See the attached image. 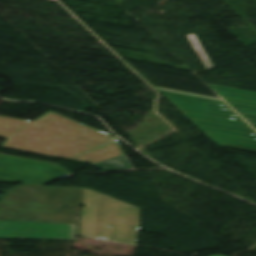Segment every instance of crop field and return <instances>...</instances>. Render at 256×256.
I'll use <instances>...</instances> for the list:
<instances>
[{"label":"crop field","instance_id":"8a807250","mask_svg":"<svg viewBox=\"0 0 256 256\" xmlns=\"http://www.w3.org/2000/svg\"><path fill=\"white\" fill-rule=\"evenodd\" d=\"M0 137V147L90 164L124 155L117 138L51 112L34 122L0 116Z\"/></svg>","mask_w":256,"mask_h":256},{"label":"crop field","instance_id":"ac0d7876","mask_svg":"<svg viewBox=\"0 0 256 256\" xmlns=\"http://www.w3.org/2000/svg\"><path fill=\"white\" fill-rule=\"evenodd\" d=\"M83 189L21 186L0 200V220L77 224Z\"/></svg>","mask_w":256,"mask_h":256},{"label":"crop field","instance_id":"34b2d1b8","mask_svg":"<svg viewBox=\"0 0 256 256\" xmlns=\"http://www.w3.org/2000/svg\"><path fill=\"white\" fill-rule=\"evenodd\" d=\"M158 91L210 140L256 148V133L223 101Z\"/></svg>","mask_w":256,"mask_h":256},{"label":"crop field","instance_id":"412701ff","mask_svg":"<svg viewBox=\"0 0 256 256\" xmlns=\"http://www.w3.org/2000/svg\"><path fill=\"white\" fill-rule=\"evenodd\" d=\"M69 175L57 165L0 155V178L43 186Z\"/></svg>","mask_w":256,"mask_h":256},{"label":"crop field","instance_id":"f4fd0767","mask_svg":"<svg viewBox=\"0 0 256 256\" xmlns=\"http://www.w3.org/2000/svg\"><path fill=\"white\" fill-rule=\"evenodd\" d=\"M76 225L0 221V238L74 240Z\"/></svg>","mask_w":256,"mask_h":256},{"label":"crop field","instance_id":"dd49c442","mask_svg":"<svg viewBox=\"0 0 256 256\" xmlns=\"http://www.w3.org/2000/svg\"><path fill=\"white\" fill-rule=\"evenodd\" d=\"M225 101L256 106V93L209 85ZM239 112V111H238ZM255 129L256 115L239 112Z\"/></svg>","mask_w":256,"mask_h":256},{"label":"crop field","instance_id":"e52e79f7","mask_svg":"<svg viewBox=\"0 0 256 256\" xmlns=\"http://www.w3.org/2000/svg\"><path fill=\"white\" fill-rule=\"evenodd\" d=\"M94 166L104 171L131 169L125 156L110 159Z\"/></svg>","mask_w":256,"mask_h":256},{"label":"crop field","instance_id":"d8731c3e","mask_svg":"<svg viewBox=\"0 0 256 256\" xmlns=\"http://www.w3.org/2000/svg\"><path fill=\"white\" fill-rule=\"evenodd\" d=\"M214 256H222V255H214Z\"/></svg>","mask_w":256,"mask_h":256}]
</instances>
